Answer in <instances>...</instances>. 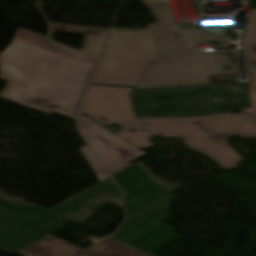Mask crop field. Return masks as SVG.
Returning <instances> with one entry per match:
<instances>
[{
	"instance_id": "1",
	"label": "crop field",
	"mask_w": 256,
	"mask_h": 256,
	"mask_svg": "<svg viewBox=\"0 0 256 256\" xmlns=\"http://www.w3.org/2000/svg\"><path fill=\"white\" fill-rule=\"evenodd\" d=\"M96 59L19 30L0 55V97L75 119Z\"/></svg>"
},
{
	"instance_id": "2",
	"label": "crop field",
	"mask_w": 256,
	"mask_h": 256,
	"mask_svg": "<svg viewBox=\"0 0 256 256\" xmlns=\"http://www.w3.org/2000/svg\"><path fill=\"white\" fill-rule=\"evenodd\" d=\"M133 88L90 85L81 112L102 125L118 124L117 134L140 148L153 145L149 135L178 137L193 149L213 158L224 170L238 168L243 158L227 137L256 139V117L244 112L168 119H135L130 93Z\"/></svg>"
},
{
	"instance_id": "3",
	"label": "crop field",
	"mask_w": 256,
	"mask_h": 256,
	"mask_svg": "<svg viewBox=\"0 0 256 256\" xmlns=\"http://www.w3.org/2000/svg\"><path fill=\"white\" fill-rule=\"evenodd\" d=\"M143 1L159 21L156 36L165 57L149 63L137 88L200 85L210 83V77H238L234 51L199 52L197 47L223 46L228 40L203 27L175 24L168 2Z\"/></svg>"
},
{
	"instance_id": "4",
	"label": "crop field",
	"mask_w": 256,
	"mask_h": 256,
	"mask_svg": "<svg viewBox=\"0 0 256 256\" xmlns=\"http://www.w3.org/2000/svg\"><path fill=\"white\" fill-rule=\"evenodd\" d=\"M97 198L122 205L121 193L110 177L49 211L0 198V249L13 254L73 221H82L89 215L84 204Z\"/></svg>"
},
{
	"instance_id": "5",
	"label": "crop field",
	"mask_w": 256,
	"mask_h": 256,
	"mask_svg": "<svg viewBox=\"0 0 256 256\" xmlns=\"http://www.w3.org/2000/svg\"><path fill=\"white\" fill-rule=\"evenodd\" d=\"M112 27L91 83L136 86L149 62L162 57L155 32Z\"/></svg>"
},
{
	"instance_id": "6",
	"label": "crop field",
	"mask_w": 256,
	"mask_h": 256,
	"mask_svg": "<svg viewBox=\"0 0 256 256\" xmlns=\"http://www.w3.org/2000/svg\"><path fill=\"white\" fill-rule=\"evenodd\" d=\"M103 128L80 114L79 129L82 135L111 175L147 155Z\"/></svg>"
},
{
	"instance_id": "7",
	"label": "crop field",
	"mask_w": 256,
	"mask_h": 256,
	"mask_svg": "<svg viewBox=\"0 0 256 256\" xmlns=\"http://www.w3.org/2000/svg\"><path fill=\"white\" fill-rule=\"evenodd\" d=\"M203 86L133 90L131 97L136 118L177 117L196 101Z\"/></svg>"
},
{
	"instance_id": "8",
	"label": "crop field",
	"mask_w": 256,
	"mask_h": 256,
	"mask_svg": "<svg viewBox=\"0 0 256 256\" xmlns=\"http://www.w3.org/2000/svg\"><path fill=\"white\" fill-rule=\"evenodd\" d=\"M125 193L128 216L175 191L134 163L112 175Z\"/></svg>"
},
{
	"instance_id": "9",
	"label": "crop field",
	"mask_w": 256,
	"mask_h": 256,
	"mask_svg": "<svg viewBox=\"0 0 256 256\" xmlns=\"http://www.w3.org/2000/svg\"><path fill=\"white\" fill-rule=\"evenodd\" d=\"M24 256H147L141 251L107 238L85 251L47 236L18 252Z\"/></svg>"
},
{
	"instance_id": "10",
	"label": "crop field",
	"mask_w": 256,
	"mask_h": 256,
	"mask_svg": "<svg viewBox=\"0 0 256 256\" xmlns=\"http://www.w3.org/2000/svg\"><path fill=\"white\" fill-rule=\"evenodd\" d=\"M249 108L246 83L207 85L200 99L180 116L205 115Z\"/></svg>"
},
{
	"instance_id": "11",
	"label": "crop field",
	"mask_w": 256,
	"mask_h": 256,
	"mask_svg": "<svg viewBox=\"0 0 256 256\" xmlns=\"http://www.w3.org/2000/svg\"><path fill=\"white\" fill-rule=\"evenodd\" d=\"M169 200L170 195H167L150 206L129 216L119 231L111 237L127 241L164 222L166 219ZM126 231H132V233L127 235L125 234Z\"/></svg>"
},
{
	"instance_id": "12",
	"label": "crop field",
	"mask_w": 256,
	"mask_h": 256,
	"mask_svg": "<svg viewBox=\"0 0 256 256\" xmlns=\"http://www.w3.org/2000/svg\"><path fill=\"white\" fill-rule=\"evenodd\" d=\"M50 36L55 32L85 35L81 51L99 56L108 29L50 23Z\"/></svg>"
},
{
	"instance_id": "13",
	"label": "crop field",
	"mask_w": 256,
	"mask_h": 256,
	"mask_svg": "<svg viewBox=\"0 0 256 256\" xmlns=\"http://www.w3.org/2000/svg\"><path fill=\"white\" fill-rule=\"evenodd\" d=\"M241 46L247 48L248 56H256V10H251Z\"/></svg>"
},
{
	"instance_id": "14",
	"label": "crop field",
	"mask_w": 256,
	"mask_h": 256,
	"mask_svg": "<svg viewBox=\"0 0 256 256\" xmlns=\"http://www.w3.org/2000/svg\"><path fill=\"white\" fill-rule=\"evenodd\" d=\"M248 64L249 67L254 68V72L249 73L252 108L244 112L256 116V57H248Z\"/></svg>"
},
{
	"instance_id": "15",
	"label": "crop field",
	"mask_w": 256,
	"mask_h": 256,
	"mask_svg": "<svg viewBox=\"0 0 256 256\" xmlns=\"http://www.w3.org/2000/svg\"><path fill=\"white\" fill-rule=\"evenodd\" d=\"M80 151L82 152V154L84 155V157L86 158L90 166L92 167L99 181L108 177V175L103 171V169L99 166L95 158L92 156L88 147H82Z\"/></svg>"
},
{
	"instance_id": "16",
	"label": "crop field",
	"mask_w": 256,
	"mask_h": 256,
	"mask_svg": "<svg viewBox=\"0 0 256 256\" xmlns=\"http://www.w3.org/2000/svg\"><path fill=\"white\" fill-rule=\"evenodd\" d=\"M209 29L225 36L229 40H235L237 34L231 31V24H209L205 25Z\"/></svg>"
},
{
	"instance_id": "17",
	"label": "crop field",
	"mask_w": 256,
	"mask_h": 256,
	"mask_svg": "<svg viewBox=\"0 0 256 256\" xmlns=\"http://www.w3.org/2000/svg\"><path fill=\"white\" fill-rule=\"evenodd\" d=\"M123 1L143 2L142 0H123Z\"/></svg>"
},
{
	"instance_id": "18",
	"label": "crop field",
	"mask_w": 256,
	"mask_h": 256,
	"mask_svg": "<svg viewBox=\"0 0 256 256\" xmlns=\"http://www.w3.org/2000/svg\"><path fill=\"white\" fill-rule=\"evenodd\" d=\"M150 256H152V255H150Z\"/></svg>"
}]
</instances>
